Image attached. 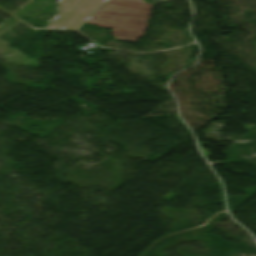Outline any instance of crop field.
I'll use <instances>...</instances> for the list:
<instances>
[{
    "mask_svg": "<svg viewBox=\"0 0 256 256\" xmlns=\"http://www.w3.org/2000/svg\"><path fill=\"white\" fill-rule=\"evenodd\" d=\"M147 1H149L152 4H154V3H157V2L162 1V0H147Z\"/></svg>",
    "mask_w": 256,
    "mask_h": 256,
    "instance_id": "obj_3",
    "label": "crop field"
},
{
    "mask_svg": "<svg viewBox=\"0 0 256 256\" xmlns=\"http://www.w3.org/2000/svg\"><path fill=\"white\" fill-rule=\"evenodd\" d=\"M152 7L143 0H108L86 23L112 28L115 39L136 43L145 32Z\"/></svg>",
    "mask_w": 256,
    "mask_h": 256,
    "instance_id": "obj_1",
    "label": "crop field"
},
{
    "mask_svg": "<svg viewBox=\"0 0 256 256\" xmlns=\"http://www.w3.org/2000/svg\"><path fill=\"white\" fill-rule=\"evenodd\" d=\"M107 0H60V12L48 28L78 29Z\"/></svg>",
    "mask_w": 256,
    "mask_h": 256,
    "instance_id": "obj_2",
    "label": "crop field"
}]
</instances>
